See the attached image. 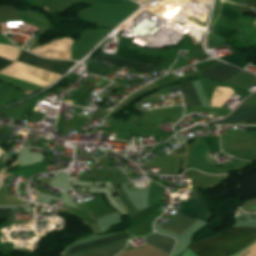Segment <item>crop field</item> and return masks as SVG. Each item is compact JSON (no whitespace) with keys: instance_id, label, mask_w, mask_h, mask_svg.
Segmentation results:
<instances>
[{"instance_id":"crop-field-1","label":"crop field","mask_w":256,"mask_h":256,"mask_svg":"<svg viewBox=\"0 0 256 256\" xmlns=\"http://www.w3.org/2000/svg\"><path fill=\"white\" fill-rule=\"evenodd\" d=\"M212 239L233 254L256 240V228L231 227L224 233L212 237ZM212 239H203L191 245L189 249L197 256L231 255Z\"/></svg>"},{"instance_id":"crop-field-2","label":"crop field","mask_w":256,"mask_h":256,"mask_svg":"<svg viewBox=\"0 0 256 256\" xmlns=\"http://www.w3.org/2000/svg\"><path fill=\"white\" fill-rule=\"evenodd\" d=\"M126 236H130L129 233L127 232H123V233H119L113 236H109L94 242H90V243H86V244H82L79 246H75V247H71L68 251V253L74 252V251H78L81 249H85L88 247H92L98 244H102L105 242H109L112 240H116L119 238H123ZM129 237L123 238V239H119L116 241H112L109 243H105L99 246H95L92 248H88L85 250H81L78 252H74L71 254H67V256H115L117 253H119L121 250H123L126 247L125 242L127 241ZM66 256V255H64Z\"/></svg>"},{"instance_id":"crop-field-3","label":"crop field","mask_w":256,"mask_h":256,"mask_svg":"<svg viewBox=\"0 0 256 256\" xmlns=\"http://www.w3.org/2000/svg\"><path fill=\"white\" fill-rule=\"evenodd\" d=\"M162 205V202L151 206L129 218L133 222V226L125 229L132 233L136 237L144 236L152 231L153 221L159 217L163 211L158 208Z\"/></svg>"},{"instance_id":"crop-field-4","label":"crop field","mask_w":256,"mask_h":256,"mask_svg":"<svg viewBox=\"0 0 256 256\" xmlns=\"http://www.w3.org/2000/svg\"><path fill=\"white\" fill-rule=\"evenodd\" d=\"M196 198H188L181 200L178 212L194 218L197 215L198 219L208 222L212 216L210 209L204 200L200 191L195 190Z\"/></svg>"},{"instance_id":"crop-field-5","label":"crop field","mask_w":256,"mask_h":256,"mask_svg":"<svg viewBox=\"0 0 256 256\" xmlns=\"http://www.w3.org/2000/svg\"><path fill=\"white\" fill-rule=\"evenodd\" d=\"M17 61L53 72L57 74H64L72 66L74 62L59 61V60H46L34 55H31L22 50L20 57Z\"/></svg>"},{"instance_id":"crop-field-6","label":"crop field","mask_w":256,"mask_h":256,"mask_svg":"<svg viewBox=\"0 0 256 256\" xmlns=\"http://www.w3.org/2000/svg\"><path fill=\"white\" fill-rule=\"evenodd\" d=\"M198 223L177 212L161 229L186 236Z\"/></svg>"},{"instance_id":"crop-field-7","label":"crop field","mask_w":256,"mask_h":256,"mask_svg":"<svg viewBox=\"0 0 256 256\" xmlns=\"http://www.w3.org/2000/svg\"><path fill=\"white\" fill-rule=\"evenodd\" d=\"M121 47L126 48L130 51H133L135 53L142 50V49L138 48L137 46H135L134 44H132L131 42H129L125 39H122ZM121 47L119 48V51H118L117 55H121L122 58H124V59L129 57V58H131L133 60H136V61H140V62H143V63H146V64L158 65V66H160V64L165 60L164 58L158 59V58H155V57L135 54V53L130 52V51H128L126 49H123Z\"/></svg>"},{"instance_id":"crop-field-8","label":"crop field","mask_w":256,"mask_h":256,"mask_svg":"<svg viewBox=\"0 0 256 256\" xmlns=\"http://www.w3.org/2000/svg\"><path fill=\"white\" fill-rule=\"evenodd\" d=\"M239 72H241V70L220 63L200 71V75L211 79L226 80L234 77Z\"/></svg>"},{"instance_id":"crop-field-9","label":"crop field","mask_w":256,"mask_h":256,"mask_svg":"<svg viewBox=\"0 0 256 256\" xmlns=\"http://www.w3.org/2000/svg\"><path fill=\"white\" fill-rule=\"evenodd\" d=\"M255 115H256V104L240 107L234 110L228 118L220 120L215 123H211V124L231 125L233 123L246 120Z\"/></svg>"},{"instance_id":"crop-field-10","label":"crop field","mask_w":256,"mask_h":256,"mask_svg":"<svg viewBox=\"0 0 256 256\" xmlns=\"http://www.w3.org/2000/svg\"><path fill=\"white\" fill-rule=\"evenodd\" d=\"M94 59L104 61V62H110V63L116 64V65L121 64L124 66L134 68L136 70L144 71V72H151L152 70H154L156 68L154 66L145 65V64L137 63V62L130 61V60H124V59L117 58V57L103 54V53H98Z\"/></svg>"},{"instance_id":"crop-field-11","label":"crop field","mask_w":256,"mask_h":256,"mask_svg":"<svg viewBox=\"0 0 256 256\" xmlns=\"http://www.w3.org/2000/svg\"><path fill=\"white\" fill-rule=\"evenodd\" d=\"M185 106H202L190 81L179 84Z\"/></svg>"},{"instance_id":"crop-field-12","label":"crop field","mask_w":256,"mask_h":256,"mask_svg":"<svg viewBox=\"0 0 256 256\" xmlns=\"http://www.w3.org/2000/svg\"><path fill=\"white\" fill-rule=\"evenodd\" d=\"M146 241L168 253H171L172 247L175 244L174 239L158 234L146 239Z\"/></svg>"},{"instance_id":"crop-field-13","label":"crop field","mask_w":256,"mask_h":256,"mask_svg":"<svg viewBox=\"0 0 256 256\" xmlns=\"http://www.w3.org/2000/svg\"><path fill=\"white\" fill-rule=\"evenodd\" d=\"M227 46L226 42L224 39L221 37L214 35V34H209V47L211 48H219V47H224Z\"/></svg>"},{"instance_id":"crop-field-14","label":"crop field","mask_w":256,"mask_h":256,"mask_svg":"<svg viewBox=\"0 0 256 256\" xmlns=\"http://www.w3.org/2000/svg\"><path fill=\"white\" fill-rule=\"evenodd\" d=\"M221 60L225 61V62H228L230 64H233V65H237V66H240V67H244L247 63H246V59H243V58H240L236 55H233V56H229V57H225V58H221Z\"/></svg>"},{"instance_id":"crop-field-15","label":"crop field","mask_w":256,"mask_h":256,"mask_svg":"<svg viewBox=\"0 0 256 256\" xmlns=\"http://www.w3.org/2000/svg\"><path fill=\"white\" fill-rule=\"evenodd\" d=\"M10 127H11V126H10ZM10 127H6V126L1 127V126H0V147L2 146V144H3L4 140H5V138L7 137L9 131L11 130Z\"/></svg>"},{"instance_id":"crop-field-16","label":"crop field","mask_w":256,"mask_h":256,"mask_svg":"<svg viewBox=\"0 0 256 256\" xmlns=\"http://www.w3.org/2000/svg\"><path fill=\"white\" fill-rule=\"evenodd\" d=\"M87 72L93 73V74H96V75H101L103 77L108 73L107 71H103V70H100V69H97V68H91V67L87 68Z\"/></svg>"},{"instance_id":"crop-field-17","label":"crop field","mask_w":256,"mask_h":256,"mask_svg":"<svg viewBox=\"0 0 256 256\" xmlns=\"http://www.w3.org/2000/svg\"><path fill=\"white\" fill-rule=\"evenodd\" d=\"M88 66H93V67H97V68H100V69H103V70H107V71H111L112 69L110 68H107L103 65V63L101 62H97V61H91Z\"/></svg>"},{"instance_id":"crop-field-18","label":"crop field","mask_w":256,"mask_h":256,"mask_svg":"<svg viewBox=\"0 0 256 256\" xmlns=\"http://www.w3.org/2000/svg\"><path fill=\"white\" fill-rule=\"evenodd\" d=\"M12 62L6 60V59H3L0 57V69L8 66L9 64H11Z\"/></svg>"},{"instance_id":"crop-field-19","label":"crop field","mask_w":256,"mask_h":256,"mask_svg":"<svg viewBox=\"0 0 256 256\" xmlns=\"http://www.w3.org/2000/svg\"><path fill=\"white\" fill-rule=\"evenodd\" d=\"M8 216V213L5 209H0V219L6 218Z\"/></svg>"},{"instance_id":"crop-field-20","label":"crop field","mask_w":256,"mask_h":256,"mask_svg":"<svg viewBox=\"0 0 256 256\" xmlns=\"http://www.w3.org/2000/svg\"><path fill=\"white\" fill-rule=\"evenodd\" d=\"M245 122H246L247 125H250V124L256 122V116L253 117V118H250V119L246 120Z\"/></svg>"},{"instance_id":"crop-field-21","label":"crop field","mask_w":256,"mask_h":256,"mask_svg":"<svg viewBox=\"0 0 256 256\" xmlns=\"http://www.w3.org/2000/svg\"><path fill=\"white\" fill-rule=\"evenodd\" d=\"M245 131H256V127H245Z\"/></svg>"}]
</instances>
